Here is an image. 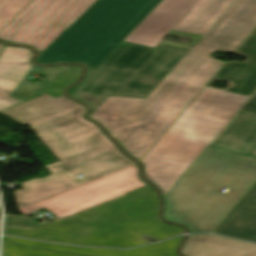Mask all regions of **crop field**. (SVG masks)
I'll return each mask as SVG.
<instances>
[{"label": "crop field", "instance_id": "obj_1", "mask_svg": "<svg viewBox=\"0 0 256 256\" xmlns=\"http://www.w3.org/2000/svg\"><path fill=\"white\" fill-rule=\"evenodd\" d=\"M256 28V0H237L145 99L109 96L90 116L141 160Z\"/></svg>", "mask_w": 256, "mask_h": 256}, {"label": "crop field", "instance_id": "obj_2", "mask_svg": "<svg viewBox=\"0 0 256 256\" xmlns=\"http://www.w3.org/2000/svg\"><path fill=\"white\" fill-rule=\"evenodd\" d=\"M235 53L247 59L226 62L141 160L163 196L238 111L256 114V36ZM216 81L230 84L219 90L211 87Z\"/></svg>", "mask_w": 256, "mask_h": 256}, {"label": "crop field", "instance_id": "obj_3", "mask_svg": "<svg viewBox=\"0 0 256 256\" xmlns=\"http://www.w3.org/2000/svg\"><path fill=\"white\" fill-rule=\"evenodd\" d=\"M155 193L143 187L37 229L4 227L3 234L80 246L117 248L145 244L142 236L156 239L183 233L161 223Z\"/></svg>", "mask_w": 256, "mask_h": 256}, {"label": "crop field", "instance_id": "obj_4", "mask_svg": "<svg viewBox=\"0 0 256 256\" xmlns=\"http://www.w3.org/2000/svg\"><path fill=\"white\" fill-rule=\"evenodd\" d=\"M85 111L34 129L75 176L84 177L74 178L60 161L47 165L51 176L23 183L24 190L14 191L19 209L136 164L123 156L95 124L83 118Z\"/></svg>", "mask_w": 256, "mask_h": 256}, {"label": "crop field", "instance_id": "obj_5", "mask_svg": "<svg viewBox=\"0 0 256 256\" xmlns=\"http://www.w3.org/2000/svg\"><path fill=\"white\" fill-rule=\"evenodd\" d=\"M255 182V160L206 148L164 197V219L189 233L215 232ZM210 184L229 189L202 192Z\"/></svg>", "mask_w": 256, "mask_h": 256}, {"label": "crop field", "instance_id": "obj_6", "mask_svg": "<svg viewBox=\"0 0 256 256\" xmlns=\"http://www.w3.org/2000/svg\"><path fill=\"white\" fill-rule=\"evenodd\" d=\"M168 35L191 39L193 43L186 46L161 41L152 49L123 41L72 97L89 104L93 111L109 95L145 99L202 37L175 31Z\"/></svg>", "mask_w": 256, "mask_h": 256}, {"label": "crop field", "instance_id": "obj_7", "mask_svg": "<svg viewBox=\"0 0 256 256\" xmlns=\"http://www.w3.org/2000/svg\"><path fill=\"white\" fill-rule=\"evenodd\" d=\"M111 0H98L36 60L41 63L83 28ZM163 0H114L80 34L44 64L82 62L90 75ZM86 65V66H87Z\"/></svg>", "mask_w": 256, "mask_h": 256}, {"label": "crop field", "instance_id": "obj_8", "mask_svg": "<svg viewBox=\"0 0 256 256\" xmlns=\"http://www.w3.org/2000/svg\"><path fill=\"white\" fill-rule=\"evenodd\" d=\"M97 0H33L1 33L0 39L43 52Z\"/></svg>", "mask_w": 256, "mask_h": 256}, {"label": "crop field", "instance_id": "obj_9", "mask_svg": "<svg viewBox=\"0 0 256 256\" xmlns=\"http://www.w3.org/2000/svg\"><path fill=\"white\" fill-rule=\"evenodd\" d=\"M143 186L146 183L139 179L136 164L18 211L25 215L45 208L62 218Z\"/></svg>", "mask_w": 256, "mask_h": 256}, {"label": "crop field", "instance_id": "obj_10", "mask_svg": "<svg viewBox=\"0 0 256 256\" xmlns=\"http://www.w3.org/2000/svg\"><path fill=\"white\" fill-rule=\"evenodd\" d=\"M199 0H164L126 39L155 48Z\"/></svg>", "mask_w": 256, "mask_h": 256}, {"label": "crop field", "instance_id": "obj_11", "mask_svg": "<svg viewBox=\"0 0 256 256\" xmlns=\"http://www.w3.org/2000/svg\"><path fill=\"white\" fill-rule=\"evenodd\" d=\"M209 147L256 159V115L238 112Z\"/></svg>", "mask_w": 256, "mask_h": 256}, {"label": "crop field", "instance_id": "obj_12", "mask_svg": "<svg viewBox=\"0 0 256 256\" xmlns=\"http://www.w3.org/2000/svg\"><path fill=\"white\" fill-rule=\"evenodd\" d=\"M29 49L5 46L0 56V110L22 100L8 98L33 66Z\"/></svg>", "mask_w": 256, "mask_h": 256}, {"label": "crop field", "instance_id": "obj_13", "mask_svg": "<svg viewBox=\"0 0 256 256\" xmlns=\"http://www.w3.org/2000/svg\"><path fill=\"white\" fill-rule=\"evenodd\" d=\"M184 236L177 237L167 242L141 247L133 250L115 249H85L39 241L23 240L4 237L13 242L39 248L73 252L92 256H178L176 250Z\"/></svg>", "mask_w": 256, "mask_h": 256}, {"label": "crop field", "instance_id": "obj_14", "mask_svg": "<svg viewBox=\"0 0 256 256\" xmlns=\"http://www.w3.org/2000/svg\"><path fill=\"white\" fill-rule=\"evenodd\" d=\"M216 233L256 241V185Z\"/></svg>", "mask_w": 256, "mask_h": 256}, {"label": "crop field", "instance_id": "obj_15", "mask_svg": "<svg viewBox=\"0 0 256 256\" xmlns=\"http://www.w3.org/2000/svg\"><path fill=\"white\" fill-rule=\"evenodd\" d=\"M77 103L60 96L56 99L43 95L2 112L10 118L25 125L49 115L60 112Z\"/></svg>", "mask_w": 256, "mask_h": 256}, {"label": "crop field", "instance_id": "obj_16", "mask_svg": "<svg viewBox=\"0 0 256 256\" xmlns=\"http://www.w3.org/2000/svg\"><path fill=\"white\" fill-rule=\"evenodd\" d=\"M234 0H201L173 29L204 35Z\"/></svg>", "mask_w": 256, "mask_h": 256}, {"label": "crop field", "instance_id": "obj_17", "mask_svg": "<svg viewBox=\"0 0 256 256\" xmlns=\"http://www.w3.org/2000/svg\"><path fill=\"white\" fill-rule=\"evenodd\" d=\"M195 256H256V244L212 235Z\"/></svg>", "mask_w": 256, "mask_h": 256}, {"label": "crop field", "instance_id": "obj_18", "mask_svg": "<svg viewBox=\"0 0 256 256\" xmlns=\"http://www.w3.org/2000/svg\"><path fill=\"white\" fill-rule=\"evenodd\" d=\"M81 73L82 68L80 66L68 67L58 78H56L52 83H50L40 93V95L46 93L54 98L63 95V89L75 83L79 79Z\"/></svg>", "mask_w": 256, "mask_h": 256}, {"label": "crop field", "instance_id": "obj_19", "mask_svg": "<svg viewBox=\"0 0 256 256\" xmlns=\"http://www.w3.org/2000/svg\"><path fill=\"white\" fill-rule=\"evenodd\" d=\"M32 0H0V32L31 2Z\"/></svg>", "mask_w": 256, "mask_h": 256}, {"label": "crop field", "instance_id": "obj_20", "mask_svg": "<svg viewBox=\"0 0 256 256\" xmlns=\"http://www.w3.org/2000/svg\"><path fill=\"white\" fill-rule=\"evenodd\" d=\"M4 256H79L37 249H30L3 240Z\"/></svg>", "mask_w": 256, "mask_h": 256}, {"label": "crop field", "instance_id": "obj_21", "mask_svg": "<svg viewBox=\"0 0 256 256\" xmlns=\"http://www.w3.org/2000/svg\"><path fill=\"white\" fill-rule=\"evenodd\" d=\"M211 235L204 236H188L186 242L184 243L180 253L184 256H194L200 248L205 244V242L210 238Z\"/></svg>", "mask_w": 256, "mask_h": 256}, {"label": "crop field", "instance_id": "obj_22", "mask_svg": "<svg viewBox=\"0 0 256 256\" xmlns=\"http://www.w3.org/2000/svg\"><path fill=\"white\" fill-rule=\"evenodd\" d=\"M81 107H83V106H80V105L77 104V105H75V106H73V107H71V108H68V109H66V110H64V111H62V112H60V113H57V114H55V115L49 116V117H47V118L41 119V120L36 121V122H33V123H31V124H28V126H29L30 128H32V127H34V126H37V125H39V124H41V123H44V122H46V121H49V120H51V119H54V118L59 117V116H61V115H64V114H66V113H68V112H71V111L76 110V109L81 108Z\"/></svg>", "mask_w": 256, "mask_h": 256}, {"label": "crop field", "instance_id": "obj_23", "mask_svg": "<svg viewBox=\"0 0 256 256\" xmlns=\"http://www.w3.org/2000/svg\"><path fill=\"white\" fill-rule=\"evenodd\" d=\"M222 190L223 188L221 187L210 186L206 191L220 194Z\"/></svg>", "mask_w": 256, "mask_h": 256}, {"label": "crop field", "instance_id": "obj_24", "mask_svg": "<svg viewBox=\"0 0 256 256\" xmlns=\"http://www.w3.org/2000/svg\"><path fill=\"white\" fill-rule=\"evenodd\" d=\"M112 1H113V0H112ZM112 1H111V2H112ZM111 2H110V3H111ZM110 3H109V4H110ZM109 4H108V5H109ZM108 5H107V6H108ZM107 6H105V7H107ZM105 7H104V8H105ZM104 8H103V9H104ZM103 9H102V10H103ZM102 10H101V11H102ZM101 11H100V12H101ZM100 12H99V13H100ZM99 13H98V14H99ZM98 14H97V15H98ZM97 15H96V16H97ZM96 16H95V17H96ZM95 17H94V18H95ZM94 18H93V19H94ZM93 19H92V20H93ZM92 20H91V21H92ZM91 21H90V22H91ZM90 22H89V23H90ZM89 23H88V24H89ZM88 24H87V25H88ZM87 25H86V26H87ZM86 26H85V27H86ZM85 27H84V28H85ZM84 28H83V29H84ZM83 29H81L79 32H81ZM79 32H78V33H79ZM78 33H77V34H78ZM77 34H76V35H77ZM58 50H59V49H58ZM45 61H46V60H45ZM45 61H44V62H45ZM44 62H43V63H44ZM43 63H41V64H43Z\"/></svg>", "mask_w": 256, "mask_h": 256}, {"label": "crop field", "instance_id": "obj_25", "mask_svg": "<svg viewBox=\"0 0 256 256\" xmlns=\"http://www.w3.org/2000/svg\"><path fill=\"white\" fill-rule=\"evenodd\" d=\"M253 35H256V29L254 30V32L252 33Z\"/></svg>", "mask_w": 256, "mask_h": 256}, {"label": "crop field", "instance_id": "obj_26", "mask_svg": "<svg viewBox=\"0 0 256 256\" xmlns=\"http://www.w3.org/2000/svg\"><path fill=\"white\" fill-rule=\"evenodd\" d=\"M1 47H2V44H0V49H1Z\"/></svg>", "mask_w": 256, "mask_h": 256}, {"label": "crop field", "instance_id": "obj_27", "mask_svg": "<svg viewBox=\"0 0 256 256\" xmlns=\"http://www.w3.org/2000/svg\"><path fill=\"white\" fill-rule=\"evenodd\" d=\"M0 213H1V211H0Z\"/></svg>", "mask_w": 256, "mask_h": 256}]
</instances>
